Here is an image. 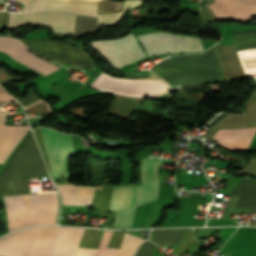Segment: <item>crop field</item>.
<instances>
[{
  "label": "crop field",
  "mask_w": 256,
  "mask_h": 256,
  "mask_svg": "<svg viewBox=\"0 0 256 256\" xmlns=\"http://www.w3.org/2000/svg\"><path fill=\"white\" fill-rule=\"evenodd\" d=\"M0 114H1V111H0ZM3 115H4V111H2V114H1V121H0V124H2V121H3ZM5 118H6V111H5V115H4V121H3V124L5 123Z\"/></svg>",
  "instance_id": "750c4746"
},
{
  "label": "crop field",
  "mask_w": 256,
  "mask_h": 256,
  "mask_svg": "<svg viewBox=\"0 0 256 256\" xmlns=\"http://www.w3.org/2000/svg\"><path fill=\"white\" fill-rule=\"evenodd\" d=\"M214 48L226 79L245 75L233 45L214 46Z\"/></svg>",
  "instance_id": "5142ce71"
},
{
  "label": "crop field",
  "mask_w": 256,
  "mask_h": 256,
  "mask_svg": "<svg viewBox=\"0 0 256 256\" xmlns=\"http://www.w3.org/2000/svg\"><path fill=\"white\" fill-rule=\"evenodd\" d=\"M52 177L67 176L65 170V161L67 155L73 152L71 137L67 134H61L51 129L40 128Z\"/></svg>",
  "instance_id": "3316defc"
},
{
  "label": "crop field",
  "mask_w": 256,
  "mask_h": 256,
  "mask_svg": "<svg viewBox=\"0 0 256 256\" xmlns=\"http://www.w3.org/2000/svg\"><path fill=\"white\" fill-rule=\"evenodd\" d=\"M230 194L240 196L235 208L256 209V182L242 180Z\"/></svg>",
  "instance_id": "4a817a6b"
},
{
  "label": "crop field",
  "mask_w": 256,
  "mask_h": 256,
  "mask_svg": "<svg viewBox=\"0 0 256 256\" xmlns=\"http://www.w3.org/2000/svg\"><path fill=\"white\" fill-rule=\"evenodd\" d=\"M84 229L39 227L0 239V256H74Z\"/></svg>",
  "instance_id": "8a807250"
},
{
  "label": "crop field",
  "mask_w": 256,
  "mask_h": 256,
  "mask_svg": "<svg viewBox=\"0 0 256 256\" xmlns=\"http://www.w3.org/2000/svg\"><path fill=\"white\" fill-rule=\"evenodd\" d=\"M14 79H22V77L8 75V73H6L4 69H0V84L5 81Z\"/></svg>",
  "instance_id": "ae1a2a85"
},
{
  "label": "crop field",
  "mask_w": 256,
  "mask_h": 256,
  "mask_svg": "<svg viewBox=\"0 0 256 256\" xmlns=\"http://www.w3.org/2000/svg\"><path fill=\"white\" fill-rule=\"evenodd\" d=\"M153 247V245L145 242L140 246L139 250L134 256H152Z\"/></svg>",
  "instance_id": "4177f3b9"
},
{
  "label": "crop field",
  "mask_w": 256,
  "mask_h": 256,
  "mask_svg": "<svg viewBox=\"0 0 256 256\" xmlns=\"http://www.w3.org/2000/svg\"><path fill=\"white\" fill-rule=\"evenodd\" d=\"M152 71L171 87L224 78L214 48L201 55L170 57Z\"/></svg>",
  "instance_id": "ac0d7876"
},
{
  "label": "crop field",
  "mask_w": 256,
  "mask_h": 256,
  "mask_svg": "<svg viewBox=\"0 0 256 256\" xmlns=\"http://www.w3.org/2000/svg\"><path fill=\"white\" fill-rule=\"evenodd\" d=\"M28 129V126L0 125V163L3 164Z\"/></svg>",
  "instance_id": "d9b57169"
},
{
  "label": "crop field",
  "mask_w": 256,
  "mask_h": 256,
  "mask_svg": "<svg viewBox=\"0 0 256 256\" xmlns=\"http://www.w3.org/2000/svg\"><path fill=\"white\" fill-rule=\"evenodd\" d=\"M81 1L96 2V1H101V0H81Z\"/></svg>",
  "instance_id": "bd1437ed"
},
{
  "label": "crop field",
  "mask_w": 256,
  "mask_h": 256,
  "mask_svg": "<svg viewBox=\"0 0 256 256\" xmlns=\"http://www.w3.org/2000/svg\"><path fill=\"white\" fill-rule=\"evenodd\" d=\"M0 95H8L2 88H0ZM0 101H13L9 97L0 96Z\"/></svg>",
  "instance_id": "d3111659"
},
{
  "label": "crop field",
  "mask_w": 256,
  "mask_h": 256,
  "mask_svg": "<svg viewBox=\"0 0 256 256\" xmlns=\"http://www.w3.org/2000/svg\"><path fill=\"white\" fill-rule=\"evenodd\" d=\"M16 1L25 4L22 12H32L36 10L40 0H16Z\"/></svg>",
  "instance_id": "730fd06b"
},
{
  "label": "crop field",
  "mask_w": 256,
  "mask_h": 256,
  "mask_svg": "<svg viewBox=\"0 0 256 256\" xmlns=\"http://www.w3.org/2000/svg\"><path fill=\"white\" fill-rule=\"evenodd\" d=\"M148 56L200 51L196 39L193 37L176 36L167 33H152L139 37Z\"/></svg>",
  "instance_id": "28ad6ade"
},
{
  "label": "crop field",
  "mask_w": 256,
  "mask_h": 256,
  "mask_svg": "<svg viewBox=\"0 0 256 256\" xmlns=\"http://www.w3.org/2000/svg\"><path fill=\"white\" fill-rule=\"evenodd\" d=\"M5 37H12L11 33L5 35ZM23 39H49L48 29L35 30ZM49 40H20L24 45H26L31 51L37 53L38 55L55 61L72 63L80 67L86 68L93 72L98 71L97 67L90 60V58L85 54L82 47H78L71 44L60 43L56 41Z\"/></svg>",
  "instance_id": "dd49c442"
},
{
  "label": "crop field",
  "mask_w": 256,
  "mask_h": 256,
  "mask_svg": "<svg viewBox=\"0 0 256 256\" xmlns=\"http://www.w3.org/2000/svg\"><path fill=\"white\" fill-rule=\"evenodd\" d=\"M143 240L124 234L120 249L112 248L109 256H132L137 245Z\"/></svg>",
  "instance_id": "92a150f3"
},
{
  "label": "crop field",
  "mask_w": 256,
  "mask_h": 256,
  "mask_svg": "<svg viewBox=\"0 0 256 256\" xmlns=\"http://www.w3.org/2000/svg\"><path fill=\"white\" fill-rule=\"evenodd\" d=\"M38 100H40V99H38V98L34 95L33 92H30V93L28 94V97H26V98L23 99V100H18V101H19L24 107H26V106H28V105H30V104H32V103L38 101Z\"/></svg>",
  "instance_id": "eef30255"
},
{
  "label": "crop field",
  "mask_w": 256,
  "mask_h": 256,
  "mask_svg": "<svg viewBox=\"0 0 256 256\" xmlns=\"http://www.w3.org/2000/svg\"><path fill=\"white\" fill-rule=\"evenodd\" d=\"M24 23L51 26L54 32L74 35L75 16L57 13L10 14L8 28Z\"/></svg>",
  "instance_id": "d1516ede"
},
{
  "label": "crop field",
  "mask_w": 256,
  "mask_h": 256,
  "mask_svg": "<svg viewBox=\"0 0 256 256\" xmlns=\"http://www.w3.org/2000/svg\"><path fill=\"white\" fill-rule=\"evenodd\" d=\"M159 161L144 157L141 171L142 186L114 187L110 211L117 214L113 227H130L135 206L157 198Z\"/></svg>",
  "instance_id": "34b2d1b8"
},
{
  "label": "crop field",
  "mask_w": 256,
  "mask_h": 256,
  "mask_svg": "<svg viewBox=\"0 0 256 256\" xmlns=\"http://www.w3.org/2000/svg\"><path fill=\"white\" fill-rule=\"evenodd\" d=\"M38 147L29 133L0 174V195L28 192L27 179L46 175Z\"/></svg>",
  "instance_id": "412701ff"
},
{
  "label": "crop field",
  "mask_w": 256,
  "mask_h": 256,
  "mask_svg": "<svg viewBox=\"0 0 256 256\" xmlns=\"http://www.w3.org/2000/svg\"><path fill=\"white\" fill-rule=\"evenodd\" d=\"M208 6L217 18L228 17L247 20L256 15V0H215Z\"/></svg>",
  "instance_id": "cbeb9de0"
},
{
  "label": "crop field",
  "mask_w": 256,
  "mask_h": 256,
  "mask_svg": "<svg viewBox=\"0 0 256 256\" xmlns=\"http://www.w3.org/2000/svg\"><path fill=\"white\" fill-rule=\"evenodd\" d=\"M90 85L128 96H154L168 90L167 84L159 78L129 80L112 78L105 74L99 75Z\"/></svg>",
  "instance_id": "e52e79f7"
},
{
  "label": "crop field",
  "mask_w": 256,
  "mask_h": 256,
  "mask_svg": "<svg viewBox=\"0 0 256 256\" xmlns=\"http://www.w3.org/2000/svg\"><path fill=\"white\" fill-rule=\"evenodd\" d=\"M112 232L104 231L103 237L96 256H108L111 248H106L108 239Z\"/></svg>",
  "instance_id": "a9b5d70f"
},
{
  "label": "crop field",
  "mask_w": 256,
  "mask_h": 256,
  "mask_svg": "<svg viewBox=\"0 0 256 256\" xmlns=\"http://www.w3.org/2000/svg\"><path fill=\"white\" fill-rule=\"evenodd\" d=\"M122 1L103 0L98 3V14L118 12Z\"/></svg>",
  "instance_id": "00972430"
},
{
  "label": "crop field",
  "mask_w": 256,
  "mask_h": 256,
  "mask_svg": "<svg viewBox=\"0 0 256 256\" xmlns=\"http://www.w3.org/2000/svg\"><path fill=\"white\" fill-rule=\"evenodd\" d=\"M144 98H127L117 95L111 102L107 113L116 117L129 119L137 105Z\"/></svg>",
  "instance_id": "bc2a9ffb"
},
{
  "label": "crop field",
  "mask_w": 256,
  "mask_h": 256,
  "mask_svg": "<svg viewBox=\"0 0 256 256\" xmlns=\"http://www.w3.org/2000/svg\"><path fill=\"white\" fill-rule=\"evenodd\" d=\"M62 198L63 204L89 205L92 199L94 188L57 186Z\"/></svg>",
  "instance_id": "733c2abd"
},
{
  "label": "crop field",
  "mask_w": 256,
  "mask_h": 256,
  "mask_svg": "<svg viewBox=\"0 0 256 256\" xmlns=\"http://www.w3.org/2000/svg\"><path fill=\"white\" fill-rule=\"evenodd\" d=\"M234 45L237 50L256 47V31L234 34Z\"/></svg>",
  "instance_id": "dafd665d"
},
{
  "label": "crop field",
  "mask_w": 256,
  "mask_h": 256,
  "mask_svg": "<svg viewBox=\"0 0 256 256\" xmlns=\"http://www.w3.org/2000/svg\"><path fill=\"white\" fill-rule=\"evenodd\" d=\"M4 199L9 232L26 226L55 224L57 194H28Z\"/></svg>",
  "instance_id": "f4fd0767"
},
{
  "label": "crop field",
  "mask_w": 256,
  "mask_h": 256,
  "mask_svg": "<svg viewBox=\"0 0 256 256\" xmlns=\"http://www.w3.org/2000/svg\"><path fill=\"white\" fill-rule=\"evenodd\" d=\"M143 0H125L123 1L122 10L118 13L97 15V3L85 2H59L55 0H42L37 11H51L71 14H80L88 16H98L97 26L99 25H115L119 17L126 9L141 6Z\"/></svg>",
  "instance_id": "d8731c3e"
},
{
  "label": "crop field",
  "mask_w": 256,
  "mask_h": 256,
  "mask_svg": "<svg viewBox=\"0 0 256 256\" xmlns=\"http://www.w3.org/2000/svg\"><path fill=\"white\" fill-rule=\"evenodd\" d=\"M187 229L153 230L150 239L158 244L177 245Z\"/></svg>",
  "instance_id": "214f88e0"
},
{
  "label": "crop field",
  "mask_w": 256,
  "mask_h": 256,
  "mask_svg": "<svg viewBox=\"0 0 256 256\" xmlns=\"http://www.w3.org/2000/svg\"><path fill=\"white\" fill-rule=\"evenodd\" d=\"M91 44L117 68L145 57L131 33L119 40L98 41Z\"/></svg>",
  "instance_id": "5a996713"
},
{
  "label": "crop field",
  "mask_w": 256,
  "mask_h": 256,
  "mask_svg": "<svg viewBox=\"0 0 256 256\" xmlns=\"http://www.w3.org/2000/svg\"><path fill=\"white\" fill-rule=\"evenodd\" d=\"M0 51L8 53L11 59L22 63L26 68L42 76L60 69L59 67L32 55L24 46L14 39L0 38Z\"/></svg>",
  "instance_id": "22f410ed"
}]
</instances>
